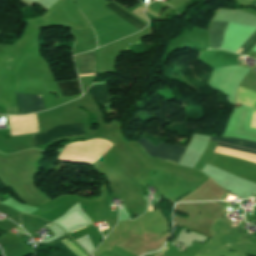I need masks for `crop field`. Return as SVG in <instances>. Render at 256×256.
<instances>
[{"label": "crop field", "instance_id": "obj_1", "mask_svg": "<svg viewBox=\"0 0 256 256\" xmlns=\"http://www.w3.org/2000/svg\"><path fill=\"white\" fill-rule=\"evenodd\" d=\"M84 126L83 123L78 124H68V125H61L57 126L45 133L37 134L32 136L33 145L42 146L48 143H51L55 140L73 137V136H84Z\"/></svg>", "mask_w": 256, "mask_h": 256}, {"label": "crop field", "instance_id": "obj_2", "mask_svg": "<svg viewBox=\"0 0 256 256\" xmlns=\"http://www.w3.org/2000/svg\"><path fill=\"white\" fill-rule=\"evenodd\" d=\"M150 156H154L172 163L178 164L185 147L168 145L160 142L156 148L143 137L137 142Z\"/></svg>", "mask_w": 256, "mask_h": 256}, {"label": "crop field", "instance_id": "obj_3", "mask_svg": "<svg viewBox=\"0 0 256 256\" xmlns=\"http://www.w3.org/2000/svg\"><path fill=\"white\" fill-rule=\"evenodd\" d=\"M225 21L215 20L213 19L210 25L209 29V41H210V48L218 49L219 46L222 43L225 27H226ZM256 30L253 32V34L244 42V44L241 46L244 48V46L255 36ZM256 44V36L248 43V45L242 50L239 48L236 53L244 54L246 55Z\"/></svg>", "mask_w": 256, "mask_h": 256}, {"label": "crop field", "instance_id": "obj_4", "mask_svg": "<svg viewBox=\"0 0 256 256\" xmlns=\"http://www.w3.org/2000/svg\"><path fill=\"white\" fill-rule=\"evenodd\" d=\"M15 95L19 115L45 110L42 96L20 93Z\"/></svg>", "mask_w": 256, "mask_h": 256}, {"label": "crop field", "instance_id": "obj_5", "mask_svg": "<svg viewBox=\"0 0 256 256\" xmlns=\"http://www.w3.org/2000/svg\"><path fill=\"white\" fill-rule=\"evenodd\" d=\"M78 73L79 74H87V73H95V50L92 52L76 55L73 57ZM94 74H87V75H79V77L83 76H91Z\"/></svg>", "mask_w": 256, "mask_h": 256}, {"label": "crop field", "instance_id": "obj_6", "mask_svg": "<svg viewBox=\"0 0 256 256\" xmlns=\"http://www.w3.org/2000/svg\"><path fill=\"white\" fill-rule=\"evenodd\" d=\"M106 6L109 7L112 11H114V12H115L117 15H119L121 18H123L125 21L129 22L130 24H132L133 26L137 27L138 29L141 30L142 28L146 27L145 24H143V23H141L140 21H138V20L134 19L133 17H131L129 14H127L125 11H123L122 9H120V8H119L118 6H116L114 3L111 2V3H109V4L106 5ZM106 6H105V7H106ZM107 7H106V8H107ZM109 8H108V9H109ZM110 9H109V10H110ZM111 10H110V11H111ZM112 11H111V12H112ZM114 12H113V13H114ZM115 13H114V14H115ZM116 14H115V15H116ZM117 15H116V16H117ZM119 16H118V17H119ZM120 17H119V18H120ZM121 18H120V19H121ZM123 19H122V20H123ZM124 20H123V21H124ZM125 21H124V22H125ZM127 22H126V23H127ZM132 25H131V26H132ZM135 27H134V28H135ZM138 29H137V30H138ZM140 30H139V31H140Z\"/></svg>", "mask_w": 256, "mask_h": 256}, {"label": "crop field", "instance_id": "obj_7", "mask_svg": "<svg viewBox=\"0 0 256 256\" xmlns=\"http://www.w3.org/2000/svg\"><path fill=\"white\" fill-rule=\"evenodd\" d=\"M57 84L62 97L81 94V89L78 80Z\"/></svg>", "mask_w": 256, "mask_h": 256}, {"label": "crop field", "instance_id": "obj_8", "mask_svg": "<svg viewBox=\"0 0 256 256\" xmlns=\"http://www.w3.org/2000/svg\"><path fill=\"white\" fill-rule=\"evenodd\" d=\"M88 91L99 104L104 105L108 103V94L104 84L91 86Z\"/></svg>", "mask_w": 256, "mask_h": 256}, {"label": "crop field", "instance_id": "obj_9", "mask_svg": "<svg viewBox=\"0 0 256 256\" xmlns=\"http://www.w3.org/2000/svg\"><path fill=\"white\" fill-rule=\"evenodd\" d=\"M210 140L256 150V142H252V141H247V140H242L237 138H214V137H211Z\"/></svg>", "mask_w": 256, "mask_h": 256}, {"label": "crop field", "instance_id": "obj_10", "mask_svg": "<svg viewBox=\"0 0 256 256\" xmlns=\"http://www.w3.org/2000/svg\"><path fill=\"white\" fill-rule=\"evenodd\" d=\"M57 247H59L60 249H62L63 251L60 253H56V252H50L51 256H76L73 252H71L68 248H66L63 244H61L60 242L54 244Z\"/></svg>", "mask_w": 256, "mask_h": 256}, {"label": "crop field", "instance_id": "obj_11", "mask_svg": "<svg viewBox=\"0 0 256 256\" xmlns=\"http://www.w3.org/2000/svg\"><path fill=\"white\" fill-rule=\"evenodd\" d=\"M218 145H219V146H223V147H227V148H231V149H236V150H240V151H244V152H249V153L256 154V152H254V151L239 149V148L231 147V146H228V145H225V144H221V143H218Z\"/></svg>", "mask_w": 256, "mask_h": 256}, {"label": "crop field", "instance_id": "obj_12", "mask_svg": "<svg viewBox=\"0 0 256 256\" xmlns=\"http://www.w3.org/2000/svg\"><path fill=\"white\" fill-rule=\"evenodd\" d=\"M71 144H73V143H71Z\"/></svg>", "mask_w": 256, "mask_h": 256}]
</instances>
